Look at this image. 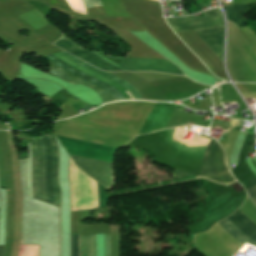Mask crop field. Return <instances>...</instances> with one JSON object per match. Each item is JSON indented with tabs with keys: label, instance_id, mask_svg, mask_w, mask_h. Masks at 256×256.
<instances>
[{
	"label": "crop field",
	"instance_id": "obj_1",
	"mask_svg": "<svg viewBox=\"0 0 256 256\" xmlns=\"http://www.w3.org/2000/svg\"><path fill=\"white\" fill-rule=\"evenodd\" d=\"M33 156L34 197L60 206V188L57 183L58 152L54 136L45 137L46 153V185H45V153L44 137H31Z\"/></svg>",
	"mask_w": 256,
	"mask_h": 256
},
{
	"label": "crop field",
	"instance_id": "obj_2",
	"mask_svg": "<svg viewBox=\"0 0 256 256\" xmlns=\"http://www.w3.org/2000/svg\"><path fill=\"white\" fill-rule=\"evenodd\" d=\"M68 153L111 163L114 155L113 150L92 146L57 137ZM79 168L87 175L109 189L113 184L112 169L110 164L70 155Z\"/></svg>",
	"mask_w": 256,
	"mask_h": 256
},
{
	"label": "crop field",
	"instance_id": "obj_3",
	"mask_svg": "<svg viewBox=\"0 0 256 256\" xmlns=\"http://www.w3.org/2000/svg\"><path fill=\"white\" fill-rule=\"evenodd\" d=\"M61 53L65 54V55H67V56H69V57H71V58H73V59H75V60H77L81 63H83L84 65L92 68L93 70H95V71L101 73L102 75L110 78L111 80L123 85L136 99L143 100V98L141 97V95L135 89V87L133 85H131V84L119 79V78L113 77V76H111V75H109V74H107L103 71H100V70H98V69L94 68L93 66L79 60L78 58L74 57L73 55H71V54H69L65 51H61ZM45 58L50 60L55 65L65 69V70H67V71H69V72H71V73H73V74H75V75H77V76H79V77H81V78H83V79H85V80L103 88V89L108 90L109 92L114 94L117 97L118 100H127V99H129L122 91H120V93L122 95H124L127 99L124 96H122L117 90L105 85L104 83L94 79L93 77L83 73L82 71L72 67L71 65L63 62L62 60H60V59H58V58H56L52 55H49ZM52 63H51V66H50V73H52V74H54L58 77L63 78L65 81L73 82L75 84H85V85L91 87L92 89L96 90L99 93V95H100V97H101V99L103 100L104 103L118 101L115 98V96L112 95L111 93H109V92H107V91H105V90H103V89H101V88H99V87H97V86H95V85H93V84H91V83H89V82H87V81H85V80H83V79H81V78H79V77H77V76L59 68V67H57V66H55V65H53Z\"/></svg>",
	"mask_w": 256,
	"mask_h": 256
},
{
	"label": "crop field",
	"instance_id": "obj_4",
	"mask_svg": "<svg viewBox=\"0 0 256 256\" xmlns=\"http://www.w3.org/2000/svg\"><path fill=\"white\" fill-rule=\"evenodd\" d=\"M204 14L206 17L196 19L186 17L166 18V21L174 32L223 26V19L219 8L205 11ZM194 32L222 61L223 27L197 30Z\"/></svg>",
	"mask_w": 256,
	"mask_h": 256
},
{
	"label": "crop field",
	"instance_id": "obj_5",
	"mask_svg": "<svg viewBox=\"0 0 256 256\" xmlns=\"http://www.w3.org/2000/svg\"><path fill=\"white\" fill-rule=\"evenodd\" d=\"M202 177L219 183H231L234 181L225 163L221 146L211 140L204 155Z\"/></svg>",
	"mask_w": 256,
	"mask_h": 256
},
{
	"label": "crop field",
	"instance_id": "obj_6",
	"mask_svg": "<svg viewBox=\"0 0 256 256\" xmlns=\"http://www.w3.org/2000/svg\"><path fill=\"white\" fill-rule=\"evenodd\" d=\"M120 67L131 71H160L165 73L182 74V71L168 60L161 59H128Z\"/></svg>",
	"mask_w": 256,
	"mask_h": 256
},
{
	"label": "crop field",
	"instance_id": "obj_7",
	"mask_svg": "<svg viewBox=\"0 0 256 256\" xmlns=\"http://www.w3.org/2000/svg\"><path fill=\"white\" fill-rule=\"evenodd\" d=\"M54 44L59 47L71 52L75 56L87 61L88 63L107 71H120L122 69L114 66L113 64L103 60L102 58L90 53L89 51L82 48L77 43L71 41L67 37L63 36L59 40H57Z\"/></svg>",
	"mask_w": 256,
	"mask_h": 256
},
{
	"label": "crop field",
	"instance_id": "obj_8",
	"mask_svg": "<svg viewBox=\"0 0 256 256\" xmlns=\"http://www.w3.org/2000/svg\"><path fill=\"white\" fill-rule=\"evenodd\" d=\"M228 219L247 236L256 241V225L248 220L239 210L228 217Z\"/></svg>",
	"mask_w": 256,
	"mask_h": 256
},
{
	"label": "crop field",
	"instance_id": "obj_9",
	"mask_svg": "<svg viewBox=\"0 0 256 256\" xmlns=\"http://www.w3.org/2000/svg\"><path fill=\"white\" fill-rule=\"evenodd\" d=\"M249 4H232L224 6L226 8L227 18L234 21L238 27H246V20L243 19V15L248 14Z\"/></svg>",
	"mask_w": 256,
	"mask_h": 256
},
{
	"label": "crop field",
	"instance_id": "obj_10",
	"mask_svg": "<svg viewBox=\"0 0 256 256\" xmlns=\"http://www.w3.org/2000/svg\"><path fill=\"white\" fill-rule=\"evenodd\" d=\"M222 227L234 238L245 244L246 242L256 246V243L237 229L228 219L219 222ZM247 243V244H248Z\"/></svg>",
	"mask_w": 256,
	"mask_h": 256
},
{
	"label": "crop field",
	"instance_id": "obj_11",
	"mask_svg": "<svg viewBox=\"0 0 256 256\" xmlns=\"http://www.w3.org/2000/svg\"><path fill=\"white\" fill-rule=\"evenodd\" d=\"M87 235L81 236V256H86ZM87 256H95V235H88Z\"/></svg>",
	"mask_w": 256,
	"mask_h": 256
},
{
	"label": "crop field",
	"instance_id": "obj_12",
	"mask_svg": "<svg viewBox=\"0 0 256 256\" xmlns=\"http://www.w3.org/2000/svg\"><path fill=\"white\" fill-rule=\"evenodd\" d=\"M72 256H79V235H72Z\"/></svg>",
	"mask_w": 256,
	"mask_h": 256
},
{
	"label": "crop field",
	"instance_id": "obj_13",
	"mask_svg": "<svg viewBox=\"0 0 256 256\" xmlns=\"http://www.w3.org/2000/svg\"><path fill=\"white\" fill-rule=\"evenodd\" d=\"M83 2L86 8L102 5L100 0H83Z\"/></svg>",
	"mask_w": 256,
	"mask_h": 256
},
{
	"label": "crop field",
	"instance_id": "obj_14",
	"mask_svg": "<svg viewBox=\"0 0 256 256\" xmlns=\"http://www.w3.org/2000/svg\"><path fill=\"white\" fill-rule=\"evenodd\" d=\"M249 196L252 198L253 202L256 204V184L246 189Z\"/></svg>",
	"mask_w": 256,
	"mask_h": 256
},
{
	"label": "crop field",
	"instance_id": "obj_15",
	"mask_svg": "<svg viewBox=\"0 0 256 256\" xmlns=\"http://www.w3.org/2000/svg\"><path fill=\"white\" fill-rule=\"evenodd\" d=\"M105 256H109V234H105Z\"/></svg>",
	"mask_w": 256,
	"mask_h": 256
},
{
	"label": "crop field",
	"instance_id": "obj_16",
	"mask_svg": "<svg viewBox=\"0 0 256 256\" xmlns=\"http://www.w3.org/2000/svg\"><path fill=\"white\" fill-rule=\"evenodd\" d=\"M4 247H5V244L0 245V256H3L4 254Z\"/></svg>",
	"mask_w": 256,
	"mask_h": 256
}]
</instances>
